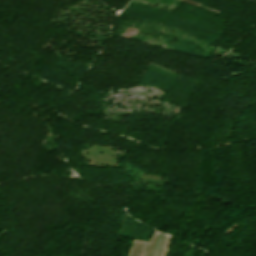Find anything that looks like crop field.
<instances>
[{"label": "crop field", "instance_id": "obj_2", "mask_svg": "<svg viewBox=\"0 0 256 256\" xmlns=\"http://www.w3.org/2000/svg\"><path fill=\"white\" fill-rule=\"evenodd\" d=\"M143 243L144 242L134 240L128 256H139Z\"/></svg>", "mask_w": 256, "mask_h": 256}, {"label": "crop field", "instance_id": "obj_3", "mask_svg": "<svg viewBox=\"0 0 256 256\" xmlns=\"http://www.w3.org/2000/svg\"><path fill=\"white\" fill-rule=\"evenodd\" d=\"M170 239L171 237L169 236H165V235L163 236V240H162V244H161L158 256H166L169 248Z\"/></svg>", "mask_w": 256, "mask_h": 256}, {"label": "crop field", "instance_id": "obj_4", "mask_svg": "<svg viewBox=\"0 0 256 256\" xmlns=\"http://www.w3.org/2000/svg\"><path fill=\"white\" fill-rule=\"evenodd\" d=\"M162 236H163L162 234H159V238H158V242H157L156 249H155V252H154V256H157V254H158V250H159V247H160V244H161Z\"/></svg>", "mask_w": 256, "mask_h": 256}, {"label": "crop field", "instance_id": "obj_1", "mask_svg": "<svg viewBox=\"0 0 256 256\" xmlns=\"http://www.w3.org/2000/svg\"><path fill=\"white\" fill-rule=\"evenodd\" d=\"M158 234L159 232L155 231V233L152 236V239H150L149 243L146 244L143 256H152Z\"/></svg>", "mask_w": 256, "mask_h": 256}]
</instances>
